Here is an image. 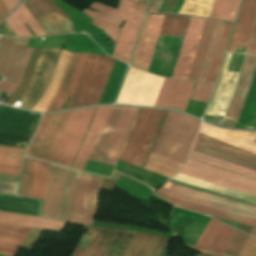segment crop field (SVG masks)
Listing matches in <instances>:
<instances>
[{"label": "crop field", "mask_w": 256, "mask_h": 256, "mask_svg": "<svg viewBox=\"0 0 256 256\" xmlns=\"http://www.w3.org/2000/svg\"><path fill=\"white\" fill-rule=\"evenodd\" d=\"M72 256H122L136 232L87 227ZM168 238L137 232L123 256H160ZM167 249L161 256H168Z\"/></svg>", "instance_id": "8a807250"}, {"label": "crop field", "mask_w": 256, "mask_h": 256, "mask_svg": "<svg viewBox=\"0 0 256 256\" xmlns=\"http://www.w3.org/2000/svg\"><path fill=\"white\" fill-rule=\"evenodd\" d=\"M79 174L51 164L41 216L71 223Z\"/></svg>", "instance_id": "ac0d7876"}, {"label": "crop field", "mask_w": 256, "mask_h": 256, "mask_svg": "<svg viewBox=\"0 0 256 256\" xmlns=\"http://www.w3.org/2000/svg\"><path fill=\"white\" fill-rule=\"evenodd\" d=\"M199 124V120L169 111L151 152L183 164Z\"/></svg>", "instance_id": "34b2d1b8"}, {"label": "crop field", "mask_w": 256, "mask_h": 256, "mask_svg": "<svg viewBox=\"0 0 256 256\" xmlns=\"http://www.w3.org/2000/svg\"><path fill=\"white\" fill-rule=\"evenodd\" d=\"M69 52L62 51L49 86L37 104L34 106V110L45 111L49 102L53 98L56 89L58 87L60 78L62 76L63 70L65 68L67 59L69 57ZM87 57L86 53L70 54L66 68L64 70L63 76L61 78L57 92L52 99L51 103L47 107L46 111H57L61 110L65 101L69 95H72L77 84L78 78L80 76L81 70L83 68L85 59ZM72 96H69L62 110L69 102Z\"/></svg>", "instance_id": "412701ff"}, {"label": "crop field", "mask_w": 256, "mask_h": 256, "mask_svg": "<svg viewBox=\"0 0 256 256\" xmlns=\"http://www.w3.org/2000/svg\"><path fill=\"white\" fill-rule=\"evenodd\" d=\"M137 109L110 107L89 159L115 164Z\"/></svg>", "instance_id": "f4fd0767"}, {"label": "crop field", "mask_w": 256, "mask_h": 256, "mask_svg": "<svg viewBox=\"0 0 256 256\" xmlns=\"http://www.w3.org/2000/svg\"><path fill=\"white\" fill-rule=\"evenodd\" d=\"M165 111L139 109L118 159L142 167Z\"/></svg>", "instance_id": "dd49c442"}, {"label": "crop field", "mask_w": 256, "mask_h": 256, "mask_svg": "<svg viewBox=\"0 0 256 256\" xmlns=\"http://www.w3.org/2000/svg\"><path fill=\"white\" fill-rule=\"evenodd\" d=\"M114 59L89 53L76 90L65 109L98 104Z\"/></svg>", "instance_id": "e52e79f7"}, {"label": "crop field", "mask_w": 256, "mask_h": 256, "mask_svg": "<svg viewBox=\"0 0 256 256\" xmlns=\"http://www.w3.org/2000/svg\"><path fill=\"white\" fill-rule=\"evenodd\" d=\"M146 7V5L132 0H119V6L117 9L97 2L89 6V8L107 13L126 21L120 30L112 55L113 57L127 63L129 62Z\"/></svg>", "instance_id": "d8731c3e"}, {"label": "crop field", "mask_w": 256, "mask_h": 256, "mask_svg": "<svg viewBox=\"0 0 256 256\" xmlns=\"http://www.w3.org/2000/svg\"><path fill=\"white\" fill-rule=\"evenodd\" d=\"M71 112L43 114L26 155L51 161Z\"/></svg>", "instance_id": "5a996713"}, {"label": "crop field", "mask_w": 256, "mask_h": 256, "mask_svg": "<svg viewBox=\"0 0 256 256\" xmlns=\"http://www.w3.org/2000/svg\"><path fill=\"white\" fill-rule=\"evenodd\" d=\"M163 79L130 67L116 103L153 106Z\"/></svg>", "instance_id": "3316defc"}, {"label": "crop field", "mask_w": 256, "mask_h": 256, "mask_svg": "<svg viewBox=\"0 0 256 256\" xmlns=\"http://www.w3.org/2000/svg\"><path fill=\"white\" fill-rule=\"evenodd\" d=\"M95 108L72 112L53 162L72 166Z\"/></svg>", "instance_id": "28ad6ade"}, {"label": "crop field", "mask_w": 256, "mask_h": 256, "mask_svg": "<svg viewBox=\"0 0 256 256\" xmlns=\"http://www.w3.org/2000/svg\"><path fill=\"white\" fill-rule=\"evenodd\" d=\"M179 173L256 195V180L189 158Z\"/></svg>", "instance_id": "d1516ede"}, {"label": "crop field", "mask_w": 256, "mask_h": 256, "mask_svg": "<svg viewBox=\"0 0 256 256\" xmlns=\"http://www.w3.org/2000/svg\"><path fill=\"white\" fill-rule=\"evenodd\" d=\"M102 179V177L81 172L72 223L93 225Z\"/></svg>", "instance_id": "22f410ed"}, {"label": "crop field", "mask_w": 256, "mask_h": 256, "mask_svg": "<svg viewBox=\"0 0 256 256\" xmlns=\"http://www.w3.org/2000/svg\"><path fill=\"white\" fill-rule=\"evenodd\" d=\"M61 49L43 48L31 77L30 83L21 96L27 100L22 107L31 109L45 90Z\"/></svg>", "instance_id": "cbeb9de0"}, {"label": "crop field", "mask_w": 256, "mask_h": 256, "mask_svg": "<svg viewBox=\"0 0 256 256\" xmlns=\"http://www.w3.org/2000/svg\"><path fill=\"white\" fill-rule=\"evenodd\" d=\"M198 136V135H197ZM197 138V137H196ZM196 140V139H195ZM193 150L256 171V155L199 134Z\"/></svg>", "instance_id": "5142ce71"}, {"label": "crop field", "mask_w": 256, "mask_h": 256, "mask_svg": "<svg viewBox=\"0 0 256 256\" xmlns=\"http://www.w3.org/2000/svg\"><path fill=\"white\" fill-rule=\"evenodd\" d=\"M163 187L168 188V189L173 190V191H176V192L186 194V195H190V196H194V197H198V198H202V199H206V200H210V201H214V202H218V203H222V204H226V205H230V206L238 207V208H241V209L256 212V207H254V206L246 205V204H243V203H239V202L232 201V200H229V199H225V198H222V197L214 196V195L207 194V193H204V192H200V191H197V190H193V189H190V188L182 187V186L175 185V184H172V183L166 182ZM163 187L160 188L159 191H161L163 193H166L170 196L185 199V200H189V201H193V202H197V203H201V204H204V205H208V206H212V207H216V208H220V209H224V210H228V211H232V212H235V213H239V214H243V215H247V216H251V217L256 218V213L241 210V209H237V208H234V207H230V206H226V205H222V204H218V203H214V202H210V201H206V200H202V199H198V198H194V197H190V196H186V195H183V194H180V193H176V192L167 190Z\"/></svg>", "instance_id": "d9b57169"}, {"label": "crop field", "mask_w": 256, "mask_h": 256, "mask_svg": "<svg viewBox=\"0 0 256 256\" xmlns=\"http://www.w3.org/2000/svg\"><path fill=\"white\" fill-rule=\"evenodd\" d=\"M256 67V56H244L238 81L224 116L222 126L234 127L249 89L254 70Z\"/></svg>", "instance_id": "733c2abd"}, {"label": "crop field", "mask_w": 256, "mask_h": 256, "mask_svg": "<svg viewBox=\"0 0 256 256\" xmlns=\"http://www.w3.org/2000/svg\"><path fill=\"white\" fill-rule=\"evenodd\" d=\"M231 55L230 53L227 54L217 87L206 114L223 115L225 112L238 77V73L227 71ZM222 117L206 115L204 119L220 125Z\"/></svg>", "instance_id": "4a817a6b"}, {"label": "crop field", "mask_w": 256, "mask_h": 256, "mask_svg": "<svg viewBox=\"0 0 256 256\" xmlns=\"http://www.w3.org/2000/svg\"><path fill=\"white\" fill-rule=\"evenodd\" d=\"M205 20L202 18H190L172 78H188Z\"/></svg>", "instance_id": "bc2a9ffb"}, {"label": "crop field", "mask_w": 256, "mask_h": 256, "mask_svg": "<svg viewBox=\"0 0 256 256\" xmlns=\"http://www.w3.org/2000/svg\"><path fill=\"white\" fill-rule=\"evenodd\" d=\"M29 38L1 36L0 75L13 81Z\"/></svg>", "instance_id": "214f88e0"}, {"label": "crop field", "mask_w": 256, "mask_h": 256, "mask_svg": "<svg viewBox=\"0 0 256 256\" xmlns=\"http://www.w3.org/2000/svg\"><path fill=\"white\" fill-rule=\"evenodd\" d=\"M193 82L165 78L154 106L171 107L184 111L193 91L191 90Z\"/></svg>", "instance_id": "92a150f3"}, {"label": "crop field", "mask_w": 256, "mask_h": 256, "mask_svg": "<svg viewBox=\"0 0 256 256\" xmlns=\"http://www.w3.org/2000/svg\"><path fill=\"white\" fill-rule=\"evenodd\" d=\"M49 166L27 158L20 195L43 199Z\"/></svg>", "instance_id": "dafd665d"}, {"label": "crop field", "mask_w": 256, "mask_h": 256, "mask_svg": "<svg viewBox=\"0 0 256 256\" xmlns=\"http://www.w3.org/2000/svg\"><path fill=\"white\" fill-rule=\"evenodd\" d=\"M236 229L210 218L196 246L226 252Z\"/></svg>", "instance_id": "00972430"}, {"label": "crop field", "mask_w": 256, "mask_h": 256, "mask_svg": "<svg viewBox=\"0 0 256 256\" xmlns=\"http://www.w3.org/2000/svg\"><path fill=\"white\" fill-rule=\"evenodd\" d=\"M39 115L31 112L0 108V131L31 134Z\"/></svg>", "instance_id": "a9b5d70f"}, {"label": "crop field", "mask_w": 256, "mask_h": 256, "mask_svg": "<svg viewBox=\"0 0 256 256\" xmlns=\"http://www.w3.org/2000/svg\"><path fill=\"white\" fill-rule=\"evenodd\" d=\"M256 15V0H244L228 51L235 52L237 45L246 47Z\"/></svg>", "instance_id": "4177f3b9"}, {"label": "crop field", "mask_w": 256, "mask_h": 256, "mask_svg": "<svg viewBox=\"0 0 256 256\" xmlns=\"http://www.w3.org/2000/svg\"><path fill=\"white\" fill-rule=\"evenodd\" d=\"M165 15H151L135 68L148 70Z\"/></svg>", "instance_id": "730fd06b"}, {"label": "crop field", "mask_w": 256, "mask_h": 256, "mask_svg": "<svg viewBox=\"0 0 256 256\" xmlns=\"http://www.w3.org/2000/svg\"><path fill=\"white\" fill-rule=\"evenodd\" d=\"M199 132L256 153V143L244 139L253 141L256 138V133L221 130L204 123L201 124Z\"/></svg>", "instance_id": "eef30255"}, {"label": "crop field", "mask_w": 256, "mask_h": 256, "mask_svg": "<svg viewBox=\"0 0 256 256\" xmlns=\"http://www.w3.org/2000/svg\"><path fill=\"white\" fill-rule=\"evenodd\" d=\"M156 193L159 196L170 200L172 203H174V204H176L180 207L186 208V209H190V210H193V211H196V212H200V213H203V214H206V215H210V216H214V217H218V218H222V219H226V220H231V221H235V222H239V223H244V224L256 226V219L255 218H251V217L231 213V212H228V211H224V210L204 206V205H201V204H197V203H193V202L173 198V197H170V196H168L166 194H163L159 191H156Z\"/></svg>", "instance_id": "ae1a2a85"}, {"label": "crop field", "mask_w": 256, "mask_h": 256, "mask_svg": "<svg viewBox=\"0 0 256 256\" xmlns=\"http://www.w3.org/2000/svg\"><path fill=\"white\" fill-rule=\"evenodd\" d=\"M109 107L110 106H101L97 108L78 157L73 166L74 168L82 170L84 169Z\"/></svg>", "instance_id": "d3111659"}, {"label": "crop field", "mask_w": 256, "mask_h": 256, "mask_svg": "<svg viewBox=\"0 0 256 256\" xmlns=\"http://www.w3.org/2000/svg\"><path fill=\"white\" fill-rule=\"evenodd\" d=\"M30 228L0 223V254L14 256Z\"/></svg>", "instance_id": "750c4746"}, {"label": "crop field", "mask_w": 256, "mask_h": 256, "mask_svg": "<svg viewBox=\"0 0 256 256\" xmlns=\"http://www.w3.org/2000/svg\"><path fill=\"white\" fill-rule=\"evenodd\" d=\"M0 222L61 232L63 223L21 214L0 212Z\"/></svg>", "instance_id": "bd1437ed"}, {"label": "crop field", "mask_w": 256, "mask_h": 256, "mask_svg": "<svg viewBox=\"0 0 256 256\" xmlns=\"http://www.w3.org/2000/svg\"><path fill=\"white\" fill-rule=\"evenodd\" d=\"M16 35L32 37L24 23H27L36 36L45 35L23 3L6 20ZM14 33V34H15Z\"/></svg>", "instance_id": "1d83c4d3"}, {"label": "crop field", "mask_w": 256, "mask_h": 256, "mask_svg": "<svg viewBox=\"0 0 256 256\" xmlns=\"http://www.w3.org/2000/svg\"><path fill=\"white\" fill-rule=\"evenodd\" d=\"M25 149L15 147L0 146V163L9 165H22V154ZM0 173L10 175H20L21 167L1 165Z\"/></svg>", "instance_id": "120bbe31"}, {"label": "crop field", "mask_w": 256, "mask_h": 256, "mask_svg": "<svg viewBox=\"0 0 256 256\" xmlns=\"http://www.w3.org/2000/svg\"><path fill=\"white\" fill-rule=\"evenodd\" d=\"M233 24L223 23L206 81L215 82Z\"/></svg>", "instance_id": "d32e631a"}, {"label": "crop field", "mask_w": 256, "mask_h": 256, "mask_svg": "<svg viewBox=\"0 0 256 256\" xmlns=\"http://www.w3.org/2000/svg\"><path fill=\"white\" fill-rule=\"evenodd\" d=\"M173 179H177V180H180V181H183V182H187V183H190V184H193V185H197V186H200V187H203V188H207V189H210V190H213V191H217V192H220V193H223V194H227V195H230V196H233V197H237V198H240V199H243V200H247V201L256 203V196L249 195V194H246V193H243V192H239V191H236V190H233V189H229V188H226V187H223V186H219V185H216V184H213V183H209V182H206V181H203V180H199V179H196V178H193V177H189V176H186V175H183V174L178 173L175 177H173Z\"/></svg>", "instance_id": "5866460e"}, {"label": "crop field", "mask_w": 256, "mask_h": 256, "mask_svg": "<svg viewBox=\"0 0 256 256\" xmlns=\"http://www.w3.org/2000/svg\"><path fill=\"white\" fill-rule=\"evenodd\" d=\"M23 3L35 20L56 11L67 19L72 29H75V23L72 19L66 13L57 8L52 0H26Z\"/></svg>", "instance_id": "028f5c9d"}, {"label": "crop field", "mask_w": 256, "mask_h": 256, "mask_svg": "<svg viewBox=\"0 0 256 256\" xmlns=\"http://www.w3.org/2000/svg\"><path fill=\"white\" fill-rule=\"evenodd\" d=\"M85 14L93 18L92 24L101 30L105 31L114 41L118 34L119 27L122 25L123 20L101 14L86 8L83 10ZM125 22V21H124Z\"/></svg>", "instance_id": "e1f06a70"}, {"label": "crop field", "mask_w": 256, "mask_h": 256, "mask_svg": "<svg viewBox=\"0 0 256 256\" xmlns=\"http://www.w3.org/2000/svg\"><path fill=\"white\" fill-rule=\"evenodd\" d=\"M214 22L215 21H213V20H209V19L206 20L205 27H204V30H203V33H202V36L200 39V43H199V46H198V49H197V52L195 55V59H194L188 79H192V80L197 79L199 69H200L204 54H205V50H206V47H207V44H208V41H209V38H210V35L212 32Z\"/></svg>", "instance_id": "0bd39190"}, {"label": "crop field", "mask_w": 256, "mask_h": 256, "mask_svg": "<svg viewBox=\"0 0 256 256\" xmlns=\"http://www.w3.org/2000/svg\"><path fill=\"white\" fill-rule=\"evenodd\" d=\"M188 157L256 179V172L254 171L248 170L246 168H243V167H240V166L192 151V150L190 151V154Z\"/></svg>", "instance_id": "b80d0937"}, {"label": "crop field", "mask_w": 256, "mask_h": 256, "mask_svg": "<svg viewBox=\"0 0 256 256\" xmlns=\"http://www.w3.org/2000/svg\"><path fill=\"white\" fill-rule=\"evenodd\" d=\"M239 4L240 0H215L210 17L234 21Z\"/></svg>", "instance_id": "c035e120"}, {"label": "crop field", "mask_w": 256, "mask_h": 256, "mask_svg": "<svg viewBox=\"0 0 256 256\" xmlns=\"http://www.w3.org/2000/svg\"><path fill=\"white\" fill-rule=\"evenodd\" d=\"M213 0H184L178 13L208 17Z\"/></svg>", "instance_id": "c21b1889"}, {"label": "crop field", "mask_w": 256, "mask_h": 256, "mask_svg": "<svg viewBox=\"0 0 256 256\" xmlns=\"http://www.w3.org/2000/svg\"><path fill=\"white\" fill-rule=\"evenodd\" d=\"M188 18L181 15H166L160 34L183 35Z\"/></svg>", "instance_id": "03da06ac"}, {"label": "crop field", "mask_w": 256, "mask_h": 256, "mask_svg": "<svg viewBox=\"0 0 256 256\" xmlns=\"http://www.w3.org/2000/svg\"><path fill=\"white\" fill-rule=\"evenodd\" d=\"M41 49L42 48H38V47L34 48L31 58L29 60L28 66H27L24 76L22 78V81H21L19 87L16 89V91L13 93V95L7 101L8 104L14 105V103L17 101V99L20 97V95L26 89V87L29 83L30 77L32 75V72L34 70L35 64L37 62V59L39 57Z\"/></svg>", "instance_id": "b54c1fbb"}, {"label": "crop field", "mask_w": 256, "mask_h": 256, "mask_svg": "<svg viewBox=\"0 0 256 256\" xmlns=\"http://www.w3.org/2000/svg\"><path fill=\"white\" fill-rule=\"evenodd\" d=\"M223 22L216 21L197 80L204 81Z\"/></svg>", "instance_id": "5d738f31"}, {"label": "crop field", "mask_w": 256, "mask_h": 256, "mask_svg": "<svg viewBox=\"0 0 256 256\" xmlns=\"http://www.w3.org/2000/svg\"><path fill=\"white\" fill-rule=\"evenodd\" d=\"M32 49L33 48H30V47L26 48L24 56L22 58V61L20 63V66L18 68V71H17V74L15 76V79H14L13 83H11V82H9L7 80L1 82L0 83V91H4V92L12 94V92L17 87V85H18V83L20 81V78H21L22 73L24 71V68H25V66L27 64V61L29 59V56L31 54Z\"/></svg>", "instance_id": "d23c7cc5"}, {"label": "crop field", "mask_w": 256, "mask_h": 256, "mask_svg": "<svg viewBox=\"0 0 256 256\" xmlns=\"http://www.w3.org/2000/svg\"><path fill=\"white\" fill-rule=\"evenodd\" d=\"M213 86V83L197 82L191 98L206 102Z\"/></svg>", "instance_id": "425ffa30"}, {"label": "crop field", "mask_w": 256, "mask_h": 256, "mask_svg": "<svg viewBox=\"0 0 256 256\" xmlns=\"http://www.w3.org/2000/svg\"><path fill=\"white\" fill-rule=\"evenodd\" d=\"M247 238H248V235H246L240 231H237L227 253L239 256Z\"/></svg>", "instance_id": "25e5ab78"}, {"label": "crop field", "mask_w": 256, "mask_h": 256, "mask_svg": "<svg viewBox=\"0 0 256 256\" xmlns=\"http://www.w3.org/2000/svg\"><path fill=\"white\" fill-rule=\"evenodd\" d=\"M240 256H256V239L249 237Z\"/></svg>", "instance_id": "73cf0c24"}, {"label": "crop field", "mask_w": 256, "mask_h": 256, "mask_svg": "<svg viewBox=\"0 0 256 256\" xmlns=\"http://www.w3.org/2000/svg\"><path fill=\"white\" fill-rule=\"evenodd\" d=\"M178 0H164L158 12L172 13Z\"/></svg>", "instance_id": "89e229c0"}, {"label": "crop field", "mask_w": 256, "mask_h": 256, "mask_svg": "<svg viewBox=\"0 0 256 256\" xmlns=\"http://www.w3.org/2000/svg\"><path fill=\"white\" fill-rule=\"evenodd\" d=\"M246 53L256 54V23Z\"/></svg>", "instance_id": "1f2cbd36"}, {"label": "crop field", "mask_w": 256, "mask_h": 256, "mask_svg": "<svg viewBox=\"0 0 256 256\" xmlns=\"http://www.w3.org/2000/svg\"><path fill=\"white\" fill-rule=\"evenodd\" d=\"M149 16L150 15H148V14L146 15L145 22H144V25H143V28H142V31H141V35H140V38H139V41H138V44H137V48H136L131 66H134V63H135V60H136V57H137V53H138V50H139V47H140V44H141V41H142V38H143V35H144V32H145V29H146V25H147Z\"/></svg>", "instance_id": "dbb93151"}, {"label": "crop field", "mask_w": 256, "mask_h": 256, "mask_svg": "<svg viewBox=\"0 0 256 256\" xmlns=\"http://www.w3.org/2000/svg\"><path fill=\"white\" fill-rule=\"evenodd\" d=\"M187 248H190V249H193L195 251H198V252H201V253H204V254H207V255H210V256H229V255H223V254H219V253H216V252H212V251H209V250H205V249H200L198 247H192V246H186Z\"/></svg>", "instance_id": "0fb4a251"}, {"label": "crop field", "mask_w": 256, "mask_h": 256, "mask_svg": "<svg viewBox=\"0 0 256 256\" xmlns=\"http://www.w3.org/2000/svg\"><path fill=\"white\" fill-rule=\"evenodd\" d=\"M9 12L20 2L19 0H2Z\"/></svg>", "instance_id": "1d79db26"}, {"label": "crop field", "mask_w": 256, "mask_h": 256, "mask_svg": "<svg viewBox=\"0 0 256 256\" xmlns=\"http://www.w3.org/2000/svg\"><path fill=\"white\" fill-rule=\"evenodd\" d=\"M116 183V181L113 180H109V179H104L103 183H102V188H106L111 190L112 186Z\"/></svg>", "instance_id": "9d1cf04e"}, {"label": "crop field", "mask_w": 256, "mask_h": 256, "mask_svg": "<svg viewBox=\"0 0 256 256\" xmlns=\"http://www.w3.org/2000/svg\"><path fill=\"white\" fill-rule=\"evenodd\" d=\"M8 10L4 6L3 2L0 0V21L8 14Z\"/></svg>", "instance_id": "447ae74e"}, {"label": "crop field", "mask_w": 256, "mask_h": 256, "mask_svg": "<svg viewBox=\"0 0 256 256\" xmlns=\"http://www.w3.org/2000/svg\"><path fill=\"white\" fill-rule=\"evenodd\" d=\"M163 0H155L153 5L151 6L149 12H157Z\"/></svg>", "instance_id": "0765c3eb"}, {"label": "crop field", "mask_w": 256, "mask_h": 256, "mask_svg": "<svg viewBox=\"0 0 256 256\" xmlns=\"http://www.w3.org/2000/svg\"><path fill=\"white\" fill-rule=\"evenodd\" d=\"M239 229L249 234L250 231H251V229H252V227H251V226H247V225L241 224V226H240Z\"/></svg>", "instance_id": "db79e9e6"}, {"label": "crop field", "mask_w": 256, "mask_h": 256, "mask_svg": "<svg viewBox=\"0 0 256 256\" xmlns=\"http://www.w3.org/2000/svg\"><path fill=\"white\" fill-rule=\"evenodd\" d=\"M4 176H6V175H0V180H6V181H14V182H18V179H19V177H18V179H17V180L4 179ZM14 177H15V176H14Z\"/></svg>", "instance_id": "7b73153f"}, {"label": "crop field", "mask_w": 256, "mask_h": 256, "mask_svg": "<svg viewBox=\"0 0 256 256\" xmlns=\"http://www.w3.org/2000/svg\"><path fill=\"white\" fill-rule=\"evenodd\" d=\"M251 235L255 236L256 237V228H253L252 232H251Z\"/></svg>", "instance_id": "78b8030e"}, {"label": "crop field", "mask_w": 256, "mask_h": 256, "mask_svg": "<svg viewBox=\"0 0 256 256\" xmlns=\"http://www.w3.org/2000/svg\"><path fill=\"white\" fill-rule=\"evenodd\" d=\"M138 1H141L143 3H146V4H149L150 0H138Z\"/></svg>", "instance_id": "0f1d7ab4"}, {"label": "crop field", "mask_w": 256, "mask_h": 256, "mask_svg": "<svg viewBox=\"0 0 256 256\" xmlns=\"http://www.w3.org/2000/svg\"><path fill=\"white\" fill-rule=\"evenodd\" d=\"M197 256H203V255H197Z\"/></svg>", "instance_id": "e1d0b9f6"}, {"label": "crop field", "mask_w": 256, "mask_h": 256, "mask_svg": "<svg viewBox=\"0 0 256 256\" xmlns=\"http://www.w3.org/2000/svg\"><path fill=\"white\" fill-rule=\"evenodd\" d=\"M254 142H256V139L254 140Z\"/></svg>", "instance_id": "ae633e8c"}]
</instances>
